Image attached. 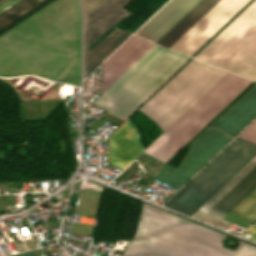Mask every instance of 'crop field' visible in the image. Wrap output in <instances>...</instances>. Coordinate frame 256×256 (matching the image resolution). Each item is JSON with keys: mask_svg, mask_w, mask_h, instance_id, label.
<instances>
[{"mask_svg": "<svg viewBox=\"0 0 256 256\" xmlns=\"http://www.w3.org/2000/svg\"><path fill=\"white\" fill-rule=\"evenodd\" d=\"M80 67L78 0H56L0 36V75L74 78L80 77ZM67 82L80 84V79Z\"/></svg>", "mask_w": 256, "mask_h": 256, "instance_id": "obj_1", "label": "crop field"}, {"mask_svg": "<svg viewBox=\"0 0 256 256\" xmlns=\"http://www.w3.org/2000/svg\"><path fill=\"white\" fill-rule=\"evenodd\" d=\"M226 236L143 204L135 237L124 256H256L241 243L223 247Z\"/></svg>", "mask_w": 256, "mask_h": 256, "instance_id": "obj_2", "label": "crop field"}, {"mask_svg": "<svg viewBox=\"0 0 256 256\" xmlns=\"http://www.w3.org/2000/svg\"><path fill=\"white\" fill-rule=\"evenodd\" d=\"M188 59L154 44L94 104L125 118Z\"/></svg>", "mask_w": 256, "mask_h": 256, "instance_id": "obj_3", "label": "crop field"}, {"mask_svg": "<svg viewBox=\"0 0 256 256\" xmlns=\"http://www.w3.org/2000/svg\"><path fill=\"white\" fill-rule=\"evenodd\" d=\"M256 117V84L190 146L177 169L167 165L154 178L178 189Z\"/></svg>", "mask_w": 256, "mask_h": 256, "instance_id": "obj_4", "label": "crop field"}, {"mask_svg": "<svg viewBox=\"0 0 256 256\" xmlns=\"http://www.w3.org/2000/svg\"><path fill=\"white\" fill-rule=\"evenodd\" d=\"M250 83L228 73L144 152L166 162Z\"/></svg>", "mask_w": 256, "mask_h": 256, "instance_id": "obj_5", "label": "crop field"}, {"mask_svg": "<svg viewBox=\"0 0 256 256\" xmlns=\"http://www.w3.org/2000/svg\"><path fill=\"white\" fill-rule=\"evenodd\" d=\"M226 74L193 59L139 110L164 131Z\"/></svg>", "mask_w": 256, "mask_h": 256, "instance_id": "obj_6", "label": "crop field"}, {"mask_svg": "<svg viewBox=\"0 0 256 256\" xmlns=\"http://www.w3.org/2000/svg\"><path fill=\"white\" fill-rule=\"evenodd\" d=\"M248 139L256 142V132ZM251 141L236 138L165 206L191 216L256 156Z\"/></svg>", "mask_w": 256, "mask_h": 256, "instance_id": "obj_7", "label": "crop field"}, {"mask_svg": "<svg viewBox=\"0 0 256 256\" xmlns=\"http://www.w3.org/2000/svg\"><path fill=\"white\" fill-rule=\"evenodd\" d=\"M194 58L256 81V0Z\"/></svg>", "mask_w": 256, "mask_h": 256, "instance_id": "obj_8", "label": "crop field"}, {"mask_svg": "<svg viewBox=\"0 0 256 256\" xmlns=\"http://www.w3.org/2000/svg\"><path fill=\"white\" fill-rule=\"evenodd\" d=\"M219 0H202L157 44L168 47ZM251 0H220L169 48L192 56Z\"/></svg>", "mask_w": 256, "mask_h": 256, "instance_id": "obj_9", "label": "crop field"}, {"mask_svg": "<svg viewBox=\"0 0 256 256\" xmlns=\"http://www.w3.org/2000/svg\"><path fill=\"white\" fill-rule=\"evenodd\" d=\"M131 0H82L85 12V67L84 77L111 54L129 35L116 28L98 45L87 51L113 25L130 15L121 7Z\"/></svg>", "mask_w": 256, "mask_h": 256, "instance_id": "obj_10", "label": "crop field"}, {"mask_svg": "<svg viewBox=\"0 0 256 256\" xmlns=\"http://www.w3.org/2000/svg\"><path fill=\"white\" fill-rule=\"evenodd\" d=\"M256 187V157L220 189L199 210L222 218ZM223 219L247 227L256 219V188L239 202Z\"/></svg>", "mask_w": 256, "mask_h": 256, "instance_id": "obj_11", "label": "crop field"}, {"mask_svg": "<svg viewBox=\"0 0 256 256\" xmlns=\"http://www.w3.org/2000/svg\"><path fill=\"white\" fill-rule=\"evenodd\" d=\"M153 43L132 36L102 64V92L129 68Z\"/></svg>", "mask_w": 256, "mask_h": 256, "instance_id": "obj_12", "label": "crop field"}, {"mask_svg": "<svg viewBox=\"0 0 256 256\" xmlns=\"http://www.w3.org/2000/svg\"><path fill=\"white\" fill-rule=\"evenodd\" d=\"M144 149L136 125L128 119L110 137L109 163L124 169Z\"/></svg>", "mask_w": 256, "mask_h": 256, "instance_id": "obj_13", "label": "crop field"}, {"mask_svg": "<svg viewBox=\"0 0 256 256\" xmlns=\"http://www.w3.org/2000/svg\"><path fill=\"white\" fill-rule=\"evenodd\" d=\"M201 0H170L135 35L156 42Z\"/></svg>", "mask_w": 256, "mask_h": 256, "instance_id": "obj_14", "label": "crop field"}, {"mask_svg": "<svg viewBox=\"0 0 256 256\" xmlns=\"http://www.w3.org/2000/svg\"><path fill=\"white\" fill-rule=\"evenodd\" d=\"M44 0H22L10 9L0 14V28L21 16L28 10L40 4Z\"/></svg>", "mask_w": 256, "mask_h": 256, "instance_id": "obj_15", "label": "crop field"}, {"mask_svg": "<svg viewBox=\"0 0 256 256\" xmlns=\"http://www.w3.org/2000/svg\"><path fill=\"white\" fill-rule=\"evenodd\" d=\"M248 128V127H247ZM246 128V129H247ZM256 131V121L247 129L245 130L240 137H243L245 139H247L253 132Z\"/></svg>", "mask_w": 256, "mask_h": 256, "instance_id": "obj_16", "label": "crop field"}, {"mask_svg": "<svg viewBox=\"0 0 256 256\" xmlns=\"http://www.w3.org/2000/svg\"><path fill=\"white\" fill-rule=\"evenodd\" d=\"M18 1H20V0H7L6 2L2 3L0 5V13H2L3 11L8 9L12 5H14L15 3H17Z\"/></svg>", "mask_w": 256, "mask_h": 256, "instance_id": "obj_17", "label": "crop field"}, {"mask_svg": "<svg viewBox=\"0 0 256 256\" xmlns=\"http://www.w3.org/2000/svg\"><path fill=\"white\" fill-rule=\"evenodd\" d=\"M245 233L253 236L251 238V240L256 241V227L255 226H251Z\"/></svg>", "mask_w": 256, "mask_h": 256, "instance_id": "obj_18", "label": "crop field"}, {"mask_svg": "<svg viewBox=\"0 0 256 256\" xmlns=\"http://www.w3.org/2000/svg\"><path fill=\"white\" fill-rule=\"evenodd\" d=\"M15 256H31V251L26 252V253H22V254H19V255H15Z\"/></svg>", "mask_w": 256, "mask_h": 256, "instance_id": "obj_19", "label": "crop field"}, {"mask_svg": "<svg viewBox=\"0 0 256 256\" xmlns=\"http://www.w3.org/2000/svg\"><path fill=\"white\" fill-rule=\"evenodd\" d=\"M4 1H6V0H0V4H1L2 2H4Z\"/></svg>", "mask_w": 256, "mask_h": 256, "instance_id": "obj_20", "label": "crop field"}, {"mask_svg": "<svg viewBox=\"0 0 256 256\" xmlns=\"http://www.w3.org/2000/svg\"><path fill=\"white\" fill-rule=\"evenodd\" d=\"M255 225H256V223H255Z\"/></svg>", "mask_w": 256, "mask_h": 256, "instance_id": "obj_21", "label": "crop field"}]
</instances>
